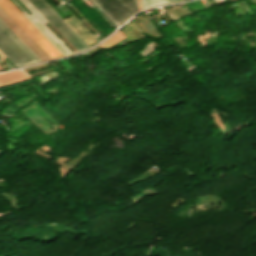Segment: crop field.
<instances>
[{"instance_id": "1", "label": "crop field", "mask_w": 256, "mask_h": 256, "mask_svg": "<svg viewBox=\"0 0 256 256\" xmlns=\"http://www.w3.org/2000/svg\"><path fill=\"white\" fill-rule=\"evenodd\" d=\"M0 8L50 57L62 54L8 1L0 0Z\"/></svg>"}, {"instance_id": "2", "label": "crop field", "mask_w": 256, "mask_h": 256, "mask_svg": "<svg viewBox=\"0 0 256 256\" xmlns=\"http://www.w3.org/2000/svg\"><path fill=\"white\" fill-rule=\"evenodd\" d=\"M29 2L62 34V36L77 50L89 47L44 0H29Z\"/></svg>"}, {"instance_id": "3", "label": "crop field", "mask_w": 256, "mask_h": 256, "mask_svg": "<svg viewBox=\"0 0 256 256\" xmlns=\"http://www.w3.org/2000/svg\"><path fill=\"white\" fill-rule=\"evenodd\" d=\"M116 25L138 10L137 0L93 1Z\"/></svg>"}, {"instance_id": "4", "label": "crop field", "mask_w": 256, "mask_h": 256, "mask_svg": "<svg viewBox=\"0 0 256 256\" xmlns=\"http://www.w3.org/2000/svg\"><path fill=\"white\" fill-rule=\"evenodd\" d=\"M0 50L16 67L35 62L1 26Z\"/></svg>"}, {"instance_id": "5", "label": "crop field", "mask_w": 256, "mask_h": 256, "mask_svg": "<svg viewBox=\"0 0 256 256\" xmlns=\"http://www.w3.org/2000/svg\"><path fill=\"white\" fill-rule=\"evenodd\" d=\"M0 19L26 44V46L41 60L49 57L0 9Z\"/></svg>"}, {"instance_id": "6", "label": "crop field", "mask_w": 256, "mask_h": 256, "mask_svg": "<svg viewBox=\"0 0 256 256\" xmlns=\"http://www.w3.org/2000/svg\"><path fill=\"white\" fill-rule=\"evenodd\" d=\"M23 114L28 117L30 120L33 121L34 124L38 125L41 130L44 132H47L49 134L57 131L53 127H51L49 124H47L40 116L39 114L34 110V108L31 106L25 110H23Z\"/></svg>"}, {"instance_id": "7", "label": "crop field", "mask_w": 256, "mask_h": 256, "mask_svg": "<svg viewBox=\"0 0 256 256\" xmlns=\"http://www.w3.org/2000/svg\"><path fill=\"white\" fill-rule=\"evenodd\" d=\"M29 79L28 76H26L21 71H14L7 74H0V87L6 86L10 84H14L23 80Z\"/></svg>"}, {"instance_id": "8", "label": "crop field", "mask_w": 256, "mask_h": 256, "mask_svg": "<svg viewBox=\"0 0 256 256\" xmlns=\"http://www.w3.org/2000/svg\"><path fill=\"white\" fill-rule=\"evenodd\" d=\"M0 25L12 36V38L36 61L40 60L15 36V34L0 20Z\"/></svg>"}, {"instance_id": "9", "label": "crop field", "mask_w": 256, "mask_h": 256, "mask_svg": "<svg viewBox=\"0 0 256 256\" xmlns=\"http://www.w3.org/2000/svg\"><path fill=\"white\" fill-rule=\"evenodd\" d=\"M124 37H126V36L121 31L118 30L114 35H112L104 43L100 44V46H102L104 49H106Z\"/></svg>"}, {"instance_id": "10", "label": "crop field", "mask_w": 256, "mask_h": 256, "mask_svg": "<svg viewBox=\"0 0 256 256\" xmlns=\"http://www.w3.org/2000/svg\"><path fill=\"white\" fill-rule=\"evenodd\" d=\"M166 0H142V9L149 8L158 4H166Z\"/></svg>"}, {"instance_id": "11", "label": "crop field", "mask_w": 256, "mask_h": 256, "mask_svg": "<svg viewBox=\"0 0 256 256\" xmlns=\"http://www.w3.org/2000/svg\"><path fill=\"white\" fill-rule=\"evenodd\" d=\"M166 12L168 13L167 15L170 17V19L172 21L178 19V17L176 16V14L173 12L172 8L166 10Z\"/></svg>"}, {"instance_id": "12", "label": "crop field", "mask_w": 256, "mask_h": 256, "mask_svg": "<svg viewBox=\"0 0 256 256\" xmlns=\"http://www.w3.org/2000/svg\"><path fill=\"white\" fill-rule=\"evenodd\" d=\"M52 123H54L56 126H60V125H58L55 121H54V119L52 118V117H50L48 114H46L38 105H37V103L36 104H34ZM60 128V127H59Z\"/></svg>"}, {"instance_id": "13", "label": "crop field", "mask_w": 256, "mask_h": 256, "mask_svg": "<svg viewBox=\"0 0 256 256\" xmlns=\"http://www.w3.org/2000/svg\"><path fill=\"white\" fill-rule=\"evenodd\" d=\"M169 1V3H173L174 2V0H168Z\"/></svg>"}, {"instance_id": "14", "label": "crop field", "mask_w": 256, "mask_h": 256, "mask_svg": "<svg viewBox=\"0 0 256 256\" xmlns=\"http://www.w3.org/2000/svg\"><path fill=\"white\" fill-rule=\"evenodd\" d=\"M177 1H181V0H175V2H177Z\"/></svg>"}, {"instance_id": "15", "label": "crop field", "mask_w": 256, "mask_h": 256, "mask_svg": "<svg viewBox=\"0 0 256 256\" xmlns=\"http://www.w3.org/2000/svg\"><path fill=\"white\" fill-rule=\"evenodd\" d=\"M2 68L0 67V70H1Z\"/></svg>"}]
</instances>
